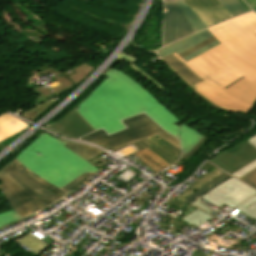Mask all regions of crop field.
<instances>
[{
	"mask_svg": "<svg viewBox=\"0 0 256 256\" xmlns=\"http://www.w3.org/2000/svg\"><path fill=\"white\" fill-rule=\"evenodd\" d=\"M208 30L220 45L188 62L173 55L204 80L190 84L196 92L227 111L247 113L256 103V82L244 78L226 91L222 88L242 76L256 81V14L247 13Z\"/></svg>",
	"mask_w": 256,
	"mask_h": 256,
	"instance_id": "crop-field-1",
	"label": "crop field"
},
{
	"mask_svg": "<svg viewBox=\"0 0 256 256\" xmlns=\"http://www.w3.org/2000/svg\"><path fill=\"white\" fill-rule=\"evenodd\" d=\"M102 84L75 109L94 130L103 128L107 134L125 129L119 120L145 112L164 130L178 138L180 120L157 102L152 95L118 70L109 69Z\"/></svg>",
	"mask_w": 256,
	"mask_h": 256,
	"instance_id": "crop-field-2",
	"label": "crop field"
},
{
	"mask_svg": "<svg viewBox=\"0 0 256 256\" xmlns=\"http://www.w3.org/2000/svg\"><path fill=\"white\" fill-rule=\"evenodd\" d=\"M65 144L43 133L16 159L30 171L58 187L64 186L83 172L95 173L99 170L64 148Z\"/></svg>",
	"mask_w": 256,
	"mask_h": 256,
	"instance_id": "crop-field-3",
	"label": "crop field"
},
{
	"mask_svg": "<svg viewBox=\"0 0 256 256\" xmlns=\"http://www.w3.org/2000/svg\"><path fill=\"white\" fill-rule=\"evenodd\" d=\"M123 124L127 126V129L114 133L112 135H107L102 129L92 132L84 137L82 140H86L92 143H96L101 147L115 151L123 146H126L135 141L141 140L143 138L159 135L171 144L180 147L179 141L166 133L160 127H158L151 119H149L145 114H139L133 117H129L122 121Z\"/></svg>",
	"mask_w": 256,
	"mask_h": 256,
	"instance_id": "crop-field-4",
	"label": "crop field"
},
{
	"mask_svg": "<svg viewBox=\"0 0 256 256\" xmlns=\"http://www.w3.org/2000/svg\"><path fill=\"white\" fill-rule=\"evenodd\" d=\"M254 194L255 190L231 177L198 200L204 199L218 207L224 203L233 208Z\"/></svg>",
	"mask_w": 256,
	"mask_h": 256,
	"instance_id": "crop-field-5",
	"label": "crop field"
},
{
	"mask_svg": "<svg viewBox=\"0 0 256 256\" xmlns=\"http://www.w3.org/2000/svg\"><path fill=\"white\" fill-rule=\"evenodd\" d=\"M191 33L194 30L176 2H164L163 46Z\"/></svg>",
	"mask_w": 256,
	"mask_h": 256,
	"instance_id": "crop-field-6",
	"label": "crop field"
},
{
	"mask_svg": "<svg viewBox=\"0 0 256 256\" xmlns=\"http://www.w3.org/2000/svg\"><path fill=\"white\" fill-rule=\"evenodd\" d=\"M256 159V149L246 141L217 154L210 162L233 173ZM217 166V167H218ZM220 168V169H221Z\"/></svg>",
	"mask_w": 256,
	"mask_h": 256,
	"instance_id": "crop-field-7",
	"label": "crop field"
},
{
	"mask_svg": "<svg viewBox=\"0 0 256 256\" xmlns=\"http://www.w3.org/2000/svg\"><path fill=\"white\" fill-rule=\"evenodd\" d=\"M11 161L0 170V181L31 212L38 211L48 205L25 190L8 174L14 167Z\"/></svg>",
	"mask_w": 256,
	"mask_h": 256,
	"instance_id": "crop-field-8",
	"label": "crop field"
},
{
	"mask_svg": "<svg viewBox=\"0 0 256 256\" xmlns=\"http://www.w3.org/2000/svg\"><path fill=\"white\" fill-rule=\"evenodd\" d=\"M184 2L196 12L208 27L232 18L217 0H184Z\"/></svg>",
	"mask_w": 256,
	"mask_h": 256,
	"instance_id": "crop-field-9",
	"label": "crop field"
},
{
	"mask_svg": "<svg viewBox=\"0 0 256 256\" xmlns=\"http://www.w3.org/2000/svg\"><path fill=\"white\" fill-rule=\"evenodd\" d=\"M49 127L64 136L76 139L94 131L75 110Z\"/></svg>",
	"mask_w": 256,
	"mask_h": 256,
	"instance_id": "crop-field-10",
	"label": "crop field"
},
{
	"mask_svg": "<svg viewBox=\"0 0 256 256\" xmlns=\"http://www.w3.org/2000/svg\"><path fill=\"white\" fill-rule=\"evenodd\" d=\"M13 177L19 184H21L25 189L39 197L45 203L50 205L51 203L61 199L57 195L47 191L40 183L33 180L27 174H25L21 169H19L16 165L13 170L9 174ZM35 196V197H36Z\"/></svg>",
	"mask_w": 256,
	"mask_h": 256,
	"instance_id": "crop-field-11",
	"label": "crop field"
},
{
	"mask_svg": "<svg viewBox=\"0 0 256 256\" xmlns=\"http://www.w3.org/2000/svg\"><path fill=\"white\" fill-rule=\"evenodd\" d=\"M211 35L212 34L207 29H205V30L195 33L187 38L180 39V40L158 50L157 53H158L160 59L171 54V53H174V52L179 54Z\"/></svg>",
	"mask_w": 256,
	"mask_h": 256,
	"instance_id": "crop-field-12",
	"label": "crop field"
},
{
	"mask_svg": "<svg viewBox=\"0 0 256 256\" xmlns=\"http://www.w3.org/2000/svg\"><path fill=\"white\" fill-rule=\"evenodd\" d=\"M158 138L160 137L157 135L146 138V140L152 144L149 148L170 165L176 162L181 157V150L174 147L164 139Z\"/></svg>",
	"mask_w": 256,
	"mask_h": 256,
	"instance_id": "crop-field-13",
	"label": "crop field"
},
{
	"mask_svg": "<svg viewBox=\"0 0 256 256\" xmlns=\"http://www.w3.org/2000/svg\"><path fill=\"white\" fill-rule=\"evenodd\" d=\"M26 124L8 114L0 116V141L26 129Z\"/></svg>",
	"mask_w": 256,
	"mask_h": 256,
	"instance_id": "crop-field-14",
	"label": "crop field"
},
{
	"mask_svg": "<svg viewBox=\"0 0 256 256\" xmlns=\"http://www.w3.org/2000/svg\"><path fill=\"white\" fill-rule=\"evenodd\" d=\"M134 155L137 156L141 161H143L150 169H152L156 173L170 166L148 148L138 151L134 153Z\"/></svg>",
	"mask_w": 256,
	"mask_h": 256,
	"instance_id": "crop-field-15",
	"label": "crop field"
},
{
	"mask_svg": "<svg viewBox=\"0 0 256 256\" xmlns=\"http://www.w3.org/2000/svg\"><path fill=\"white\" fill-rule=\"evenodd\" d=\"M202 137L204 136L196 133L184 124H181L180 141L183 156L188 153Z\"/></svg>",
	"mask_w": 256,
	"mask_h": 256,
	"instance_id": "crop-field-16",
	"label": "crop field"
},
{
	"mask_svg": "<svg viewBox=\"0 0 256 256\" xmlns=\"http://www.w3.org/2000/svg\"><path fill=\"white\" fill-rule=\"evenodd\" d=\"M175 57L171 55L167 58H164V60L192 85L202 81L201 78H199L195 73H193L189 68H187L183 63H181Z\"/></svg>",
	"mask_w": 256,
	"mask_h": 256,
	"instance_id": "crop-field-17",
	"label": "crop field"
},
{
	"mask_svg": "<svg viewBox=\"0 0 256 256\" xmlns=\"http://www.w3.org/2000/svg\"><path fill=\"white\" fill-rule=\"evenodd\" d=\"M177 4L181 8L182 12L188 19L195 32L207 28L205 23L194 13V11L187 4H185L182 0L177 1Z\"/></svg>",
	"mask_w": 256,
	"mask_h": 256,
	"instance_id": "crop-field-18",
	"label": "crop field"
},
{
	"mask_svg": "<svg viewBox=\"0 0 256 256\" xmlns=\"http://www.w3.org/2000/svg\"><path fill=\"white\" fill-rule=\"evenodd\" d=\"M228 178H230V176L227 175L226 173L221 175L220 177L216 178L212 182H210L207 185L203 186L197 192H195V193L193 192L194 194L190 195L189 197H187L183 201H185V202H187L189 204L192 203L194 200H196L197 198L203 196L208 191H210L213 187H215V186L219 185L220 183L226 181Z\"/></svg>",
	"mask_w": 256,
	"mask_h": 256,
	"instance_id": "crop-field-19",
	"label": "crop field"
},
{
	"mask_svg": "<svg viewBox=\"0 0 256 256\" xmlns=\"http://www.w3.org/2000/svg\"><path fill=\"white\" fill-rule=\"evenodd\" d=\"M224 172L221 171L220 169H215L213 171H211L209 174H207L205 177L197 180L196 185L192 188H190L188 191H186L184 194H182L180 197L178 196L176 199L178 200H182L184 198H186L187 196H189L190 194H192L193 192H195L196 190H198L200 187H202L203 185L207 184L208 182L212 181L213 179H215L216 177L220 176L221 174H223Z\"/></svg>",
	"mask_w": 256,
	"mask_h": 256,
	"instance_id": "crop-field-20",
	"label": "crop field"
},
{
	"mask_svg": "<svg viewBox=\"0 0 256 256\" xmlns=\"http://www.w3.org/2000/svg\"><path fill=\"white\" fill-rule=\"evenodd\" d=\"M65 147H67L70 151L74 152L75 154L79 155L80 157L90 160L98 154L103 153L100 150H97L93 147H85V146H78V145H72V144H66Z\"/></svg>",
	"mask_w": 256,
	"mask_h": 256,
	"instance_id": "crop-field-21",
	"label": "crop field"
},
{
	"mask_svg": "<svg viewBox=\"0 0 256 256\" xmlns=\"http://www.w3.org/2000/svg\"><path fill=\"white\" fill-rule=\"evenodd\" d=\"M222 6L233 16L236 17L245 12V8L240 4L238 0H218Z\"/></svg>",
	"mask_w": 256,
	"mask_h": 256,
	"instance_id": "crop-field-22",
	"label": "crop field"
},
{
	"mask_svg": "<svg viewBox=\"0 0 256 256\" xmlns=\"http://www.w3.org/2000/svg\"><path fill=\"white\" fill-rule=\"evenodd\" d=\"M235 209L245 213L249 217L256 220V195L248 199L247 201H245Z\"/></svg>",
	"mask_w": 256,
	"mask_h": 256,
	"instance_id": "crop-field-23",
	"label": "crop field"
},
{
	"mask_svg": "<svg viewBox=\"0 0 256 256\" xmlns=\"http://www.w3.org/2000/svg\"><path fill=\"white\" fill-rule=\"evenodd\" d=\"M117 60H121L123 62H126L128 64H130V67L133 68L135 71H137L139 74H141L143 77H145L147 80H149L151 83H153L154 85H156L158 88H160L162 91H164V88L159 84L157 83L155 80H153L150 76H148L145 72H143L141 69L137 68L135 65H134V62L136 60L132 59L131 57L129 56H126V55H122L120 54L117 58Z\"/></svg>",
	"mask_w": 256,
	"mask_h": 256,
	"instance_id": "crop-field-24",
	"label": "crop field"
},
{
	"mask_svg": "<svg viewBox=\"0 0 256 256\" xmlns=\"http://www.w3.org/2000/svg\"><path fill=\"white\" fill-rule=\"evenodd\" d=\"M0 188L5 192L6 196H8L11 206H13L22 217L30 214V212L3 186V184L0 185Z\"/></svg>",
	"mask_w": 256,
	"mask_h": 256,
	"instance_id": "crop-field-25",
	"label": "crop field"
},
{
	"mask_svg": "<svg viewBox=\"0 0 256 256\" xmlns=\"http://www.w3.org/2000/svg\"><path fill=\"white\" fill-rule=\"evenodd\" d=\"M210 218L211 217H209L207 214L197 210L182 220L188 222L189 224L195 223L199 226Z\"/></svg>",
	"mask_w": 256,
	"mask_h": 256,
	"instance_id": "crop-field-26",
	"label": "crop field"
},
{
	"mask_svg": "<svg viewBox=\"0 0 256 256\" xmlns=\"http://www.w3.org/2000/svg\"><path fill=\"white\" fill-rule=\"evenodd\" d=\"M246 141L249 142L251 145H253L256 148V135H254L253 137L249 138ZM255 168H256V161L252 162L251 164L247 165V167H244L243 169H241L231 175L239 179Z\"/></svg>",
	"mask_w": 256,
	"mask_h": 256,
	"instance_id": "crop-field-27",
	"label": "crop field"
},
{
	"mask_svg": "<svg viewBox=\"0 0 256 256\" xmlns=\"http://www.w3.org/2000/svg\"><path fill=\"white\" fill-rule=\"evenodd\" d=\"M19 219H21L20 216L14 210L2 213L0 214V227Z\"/></svg>",
	"mask_w": 256,
	"mask_h": 256,
	"instance_id": "crop-field-28",
	"label": "crop field"
},
{
	"mask_svg": "<svg viewBox=\"0 0 256 256\" xmlns=\"http://www.w3.org/2000/svg\"><path fill=\"white\" fill-rule=\"evenodd\" d=\"M214 40H216V39L212 36V37H210V38H208V39L198 43L197 45L193 46L192 48L188 49L187 51H185V52H183V53H181L179 55L183 58V57L187 56L188 54L196 51L197 49H199V48H201V47H203V46L213 42Z\"/></svg>",
	"mask_w": 256,
	"mask_h": 256,
	"instance_id": "crop-field-29",
	"label": "crop field"
},
{
	"mask_svg": "<svg viewBox=\"0 0 256 256\" xmlns=\"http://www.w3.org/2000/svg\"><path fill=\"white\" fill-rule=\"evenodd\" d=\"M94 174L92 173H85L82 174L81 176H79L76 180L72 181L71 183H69L68 185L64 186L62 189L65 190L66 192L68 190H70L71 188H73L74 186H76L77 184L87 180L88 178H90L91 176H93Z\"/></svg>",
	"mask_w": 256,
	"mask_h": 256,
	"instance_id": "crop-field-30",
	"label": "crop field"
},
{
	"mask_svg": "<svg viewBox=\"0 0 256 256\" xmlns=\"http://www.w3.org/2000/svg\"><path fill=\"white\" fill-rule=\"evenodd\" d=\"M242 182L256 188V169L250 172L249 174L245 175L241 179ZM256 190V189H255Z\"/></svg>",
	"mask_w": 256,
	"mask_h": 256,
	"instance_id": "crop-field-31",
	"label": "crop field"
},
{
	"mask_svg": "<svg viewBox=\"0 0 256 256\" xmlns=\"http://www.w3.org/2000/svg\"><path fill=\"white\" fill-rule=\"evenodd\" d=\"M208 139H206L205 137L203 139H201L197 144L196 146L188 153L184 156V161H188L190 158L189 156H193L194 154H196L201 148L202 146L205 144V142L207 141Z\"/></svg>",
	"mask_w": 256,
	"mask_h": 256,
	"instance_id": "crop-field-32",
	"label": "crop field"
},
{
	"mask_svg": "<svg viewBox=\"0 0 256 256\" xmlns=\"http://www.w3.org/2000/svg\"><path fill=\"white\" fill-rule=\"evenodd\" d=\"M218 44H220V43L216 40V41H214L213 43H211V44H209V45H207V46H205V47H203V48L197 50L196 52H194V53L188 55L187 57H185V58H183V59H185V60L187 61V60H189V59H191V58H193V57H195V56H197V55H199V54H201V53L207 51L208 49H210V48H212V47H214V46H216V45H218Z\"/></svg>",
	"mask_w": 256,
	"mask_h": 256,
	"instance_id": "crop-field-33",
	"label": "crop field"
},
{
	"mask_svg": "<svg viewBox=\"0 0 256 256\" xmlns=\"http://www.w3.org/2000/svg\"><path fill=\"white\" fill-rule=\"evenodd\" d=\"M29 176H31V177H32L33 179H35L36 181H38V182H40V183L46 185L47 187L51 188V189L54 190L55 192H57V193H59V194H61V195H63V196L66 195V192H64V191H62V190H60V189H58V188H56V187H54V186L48 184L47 182L41 180L39 177H37V176L34 175L33 173L30 174Z\"/></svg>",
	"mask_w": 256,
	"mask_h": 256,
	"instance_id": "crop-field-34",
	"label": "crop field"
},
{
	"mask_svg": "<svg viewBox=\"0 0 256 256\" xmlns=\"http://www.w3.org/2000/svg\"><path fill=\"white\" fill-rule=\"evenodd\" d=\"M190 205H192V206H194V207H196V208H198V209H200V210H202V211H204V212H206V213H211L212 211H213V209H211V208H208V207H206L205 205H203L202 203H200L199 201H194L192 204H190Z\"/></svg>",
	"mask_w": 256,
	"mask_h": 256,
	"instance_id": "crop-field-35",
	"label": "crop field"
},
{
	"mask_svg": "<svg viewBox=\"0 0 256 256\" xmlns=\"http://www.w3.org/2000/svg\"><path fill=\"white\" fill-rule=\"evenodd\" d=\"M131 145V144H130ZM133 145L137 148V149H139V150H141V149H143V148H146L148 145H150V143L149 142H147L145 139H143V140H141V141H138V142H135V143H133ZM129 146V145H128ZM127 147V146H126ZM124 148V147H123ZM122 149V148H121Z\"/></svg>",
	"mask_w": 256,
	"mask_h": 256,
	"instance_id": "crop-field-36",
	"label": "crop field"
},
{
	"mask_svg": "<svg viewBox=\"0 0 256 256\" xmlns=\"http://www.w3.org/2000/svg\"><path fill=\"white\" fill-rule=\"evenodd\" d=\"M245 1L253 9V11L256 12V0H245Z\"/></svg>",
	"mask_w": 256,
	"mask_h": 256,
	"instance_id": "crop-field-37",
	"label": "crop field"
},
{
	"mask_svg": "<svg viewBox=\"0 0 256 256\" xmlns=\"http://www.w3.org/2000/svg\"><path fill=\"white\" fill-rule=\"evenodd\" d=\"M241 3H242V5L247 9V11L249 12V11H251V9L243 2V0H239Z\"/></svg>",
	"mask_w": 256,
	"mask_h": 256,
	"instance_id": "crop-field-38",
	"label": "crop field"
},
{
	"mask_svg": "<svg viewBox=\"0 0 256 256\" xmlns=\"http://www.w3.org/2000/svg\"><path fill=\"white\" fill-rule=\"evenodd\" d=\"M164 1H169V0H164Z\"/></svg>",
	"mask_w": 256,
	"mask_h": 256,
	"instance_id": "crop-field-39",
	"label": "crop field"
},
{
	"mask_svg": "<svg viewBox=\"0 0 256 256\" xmlns=\"http://www.w3.org/2000/svg\"><path fill=\"white\" fill-rule=\"evenodd\" d=\"M1 256V255H0Z\"/></svg>",
	"mask_w": 256,
	"mask_h": 256,
	"instance_id": "crop-field-40",
	"label": "crop field"
}]
</instances>
